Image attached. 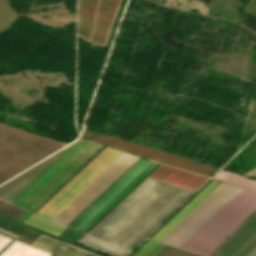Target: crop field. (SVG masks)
Returning <instances> with one entry per match:
<instances>
[{"mask_svg":"<svg viewBox=\"0 0 256 256\" xmlns=\"http://www.w3.org/2000/svg\"><path fill=\"white\" fill-rule=\"evenodd\" d=\"M254 177H256V175H254Z\"/></svg>","mask_w":256,"mask_h":256,"instance_id":"crop-field-24","label":"crop field"},{"mask_svg":"<svg viewBox=\"0 0 256 256\" xmlns=\"http://www.w3.org/2000/svg\"><path fill=\"white\" fill-rule=\"evenodd\" d=\"M12 241V239H9L7 237L1 236L0 235V251L6 246L8 245L10 242Z\"/></svg>","mask_w":256,"mask_h":256,"instance_id":"crop-field-20","label":"crop field"},{"mask_svg":"<svg viewBox=\"0 0 256 256\" xmlns=\"http://www.w3.org/2000/svg\"><path fill=\"white\" fill-rule=\"evenodd\" d=\"M77 141L0 186V199L11 203ZM102 148L95 143L79 140L12 204L33 212Z\"/></svg>","mask_w":256,"mask_h":256,"instance_id":"crop-field-3","label":"crop field"},{"mask_svg":"<svg viewBox=\"0 0 256 256\" xmlns=\"http://www.w3.org/2000/svg\"><path fill=\"white\" fill-rule=\"evenodd\" d=\"M214 178H217V179L222 180V181H226V182H229V183H232V184H236V185H239V186H243V187H246V188L256 190V181L250 180V179H247V178H244V177H240V176H237V175H233V174L227 173L223 170H221L218 174H216L214 176Z\"/></svg>","mask_w":256,"mask_h":256,"instance_id":"crop-field-15","label":"crop field"},{"mask_svg":"<svg viewBox=\"0 0 256 256\" xmlns=\"http://www.w3.org/2000/svg\"><path fill=\"white\" fill-rule=\"evenodd\" d=\"M120 154L121 152L105 147L36 213L51 219ZM139 159L140 157L122 153L52 220L68 226Z\"/></svg>","mask_w":256,"mask_h":256,"instance_id":"crop-field-2","label":"crop field"},{"mask_svg":"<svg viewBox=\"0 0 256 256\" xmlns=\"http://www.w3.org/2000/svg\"><path fill=\"white\" fill-rule=\"evenodd\" d=\"M83 235V233L78 232L74 229H71L67 227L60 235L59 237L66 239L72 243H74L78 238H80Z\"/></svg>","mask_w":256,"mask_h":256,"instance_id":"crop-field-19","label":"crop field"},{"mask_svg":"<svg viewBox=\"0 0 256 256\" xmlns=\"http://www.w3.org/2000/svg\"><path fill=\"white\" fill-rule=\"evenodd\" d=\"M33 246L58 254L60 256H96L43 236H41L33 244Z\"/></svg>","mask_w":256,"mask_h":256,"instance_id":"crop-field-11","label":"crop field"},{"mask_svg":"<svg viewBox=\"0 0 256 256\" xmlns=\"http://www.w3.org/2000/svg\"><path fill=\"white\" fill-rule=\"evenodd\" d=\"M25 210L16 208L6 202L0 200V213L17 220Z\"/></svg>","mask_w":256,"mask_h":256,"instance_id":"crop-field-18","label":"crop field"},{"mask_svg":"<svg viewBox=\"0 0 256 256\" xmlns=\"http://www.w3.org/2000/svg\"><path fill=\"white\" fill-rule=\"evenodd\" d=\"M31 214V212L26 211L19 219L18 221L22 222L26 217H28Z\"/></svg>","mask_w":256,"mask_h":256,"instance_id":"crop-field-21","label":"crop field"},{"mask_svg":"<svg viewBox=\"0 0 256 256\" xmlns=\"http://www.w3.org/2000/svg\"><path fill=\"white\" fill-rule=\"evenodd\" d=\"M221 182L214 180L196 198H194L184 209H182L171 221H169L152 239L160 241L169 231H171L190 211H192L211 191Z\"/></svg>","mask_w":256,"mask_h":256,"instance_id":"crop-field-10","label":"crop field"},{"mask_svg":"<svg viewBox=\"0 0 256 256\" xmlns=\"http://www.w3.org/2000/svg\"><path fill=\"white\" fill-rule=\"evenodd\" d=\"M256 247V216L213 256H247Z\"/></svg>","mask_w":256,"mask_h":256,"instance_id":"crop-field-8","label":"crop field"},{"mask_svg":"<svg viewBox=\"0 0 256 256\" xmlns=\"http://www.w3.org/2000/svg\"><path fill=\"white\" fill-rule=\"evenodd\" d=\"M254 174H256V171H255V172H253L252 174H250L249 176H252V175H254Z\"/></svg>","mask_w":256,"mask_h":256,"instance_id":"crop-field-23","label":"crop field"},{"mask_svg":"<svg viewBox=\"0 0 256 256\" xmlns=\"http://www.w3.org/2000/svg\"><path fill=\"white\" fill-rule=\"evenodd\" d=\"M248 256H256V248Z\"/></svg>","mask_w":256,"mask_h":256,"instance_id":"crop-field-22","label":"crop field"},{"mask_svg":"<svg viewBox=\"0 0 256 256\" xmlns=\"http://www.w3.org/2000/svg\"><path fill=\"white\" fill-rule=\"evenodd\" d=\"M155 256H202L165 245Z\"/></svg>","mask_w":256,"mask_h":256,"instance_id":"crop-field-17","label":"crop field"},{"mask_svg":"<svg viewBox=\"0 0 256 256\" xmlns=\"http://www.w3.org/2000/svg\"><path fill=\"white\" fill-rule=\"evenodd\" d=\"M151 160L141 158L118 181H116L93 205L89 206L69 227L78 230L99 209H101L114 195H116L129 181H131Z\"/></svg>","mask_w":256,"mask_h":256,"instance_id":"crop-field-7","label":"crop field"},{"mask_svg":"<svg viewBox=\"0 0 256 256\" xmlns=\"http://www.w3.org/2000/svg\"><path fill=\"white\" fill-rule=\"evenodd\" d=\"M256 210V191L242 188L180 248L208 255Z\"/></svg>","mask_w":256,"mask_h":256,"instance_id":"crop-field-5","label":"crop field"},{"mask_svg":"<svg viewBox=\"0 0 256 256\" xmlns=\"http://www.w3.org/2000/svg\"><path fill=\"white\" fill-rule=\"evenodd\" d=\"M240 189L241 187L223 183L207 199L205 198L206 200H204L168 235H166L161 242L179 247Z\"/></svg>","mask_w":256,"mask_h":256,"instance_id":"crop-field-6","label":"crop field"},{"mask_svg":"<svg viewBox=\"0 0 256 256\" xmlns=\"http://www.w3.org/2000/svg\"><path fill=\"white\" fill-rule=\"evenodd\" d=\"M77 242L82 243L84 245H87L89 247H92L94 249H97L99 251H102V252L107 253L112 256H125L129 253L125 250H122L113 245H110L108 243H105L103 241L95 239L86 234H84L80 239H78Z\"/></svg>","mask_w":256,"mask_h":256,"instance_id":"crop-field-12","label":"crop field"},{"mask_svg":"<svg viewBox=\"0 0 256 256\" xmlns=\"http://www.w3.org/2000/svg\"><path fill=\"white\" fill-rule=\"evenodd\" d=\"M159 163L152 161L131 182H129L116 196H114L101 210H99L79 231L86 233L97 223L113 206H115L126 194H128L140 181H142Z\"/></svg>","mask_w":256,"mask_h":256,"instance_id":"crop-field-9","label":"crop field"},{"mask_svg":"<svg viewBox=\"0 0 256 256\" xmlns=\"http://www.w3.org/2000/svg\"><path fill=\"white\" fill-rule=\"evenodd\" d=\"M164 244L149 240L133 256H153Z\"/></svg>","mask_w":256,"mask_h":256,"instance_id":"crop-field-16","label":"crop field"},{"mask_svg":"<svg viewBox=\"0 0 256 256\" xmlns=\"http://www.w3.org/2000/svg\"><path fill=\"white\" fill-rule=\"evenodd\" d=\"M192 192L146 178L88 234L131 250Z\"/></svg>","mask_w":256,"mask_h":256,"instance_id":"crop-field-1","label":"crop field"},{"mask_svg":"<svg viewBox=\"0 0 256 256\" xmlns=\"http://www.w3.org/2000/svg\"><path fill=\"white\" fill-rule=\"evenodd\" d=\"M23 223L57 236L66 226L54 223L41 216L32 213Z\"/></svg>","mask_w":256,"mask_h":256,"instance_id":"crop-field-13","label":"crop field"},{"mask_svg":"<svg viewBox=\"0 0 256 256\" xmlns=\"http://www.w3.org/2000/svg\"><path fill=\"white\" fill-rule=\"evenodd\" d=\"M65 145L0 123V184Z\"/></svg>","mask_w":256,"mask_h":256,"instance_id":"crop-field-4","label":"crop field"},{"mask_svg":"<svg viewBox=\"0 0 256 256\" xmlns=\"http://www.w3.org/2000/svg\"><path fill=\"white\" fill-rule=\"evenodd\" d=\"M50 253L14 241L0 256H49Z\"/></svg>","mask_w":256,"mask_h":256,"instance_id":"crop-field-14","label":"crop field"}]
</instances>
